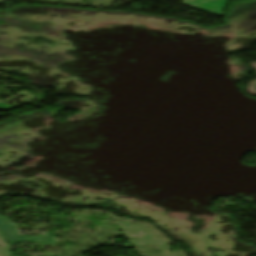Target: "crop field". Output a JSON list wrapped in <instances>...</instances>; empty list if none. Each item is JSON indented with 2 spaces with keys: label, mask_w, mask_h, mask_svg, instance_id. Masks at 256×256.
Returning a JSON list of instances; mask_svg holds the SVG:
<instances>
[{
  "label": "crop field",
  "mask_w": 256,
  "mask_h": 256,
  "mask_svg": "<svg viewBox=\"0 0 256 256\" xmlns=\"http://www.w3.org/2000/svg\"><path fill=\"white\" fill-rule=\"evenodd\" d=\"M3 1L2 0H0V3H2Z\"/></svg>",
  "instance_id": "5"
},
{
  "label": "crop field",
  "mask_w": 256,
  "mask_h": 256,
  "mask_svg": "<svg viewBox=\"0 0 256 256\" xmlns=\"http://www.w3.org/2000/svg\"><path fill=\"white\" fill-rule=\"evenodd\" d=\"M0 231L12 246L21 242H36L50 245L58 243L57 237H52V231L41 237L22 235L19 231L18 225L16 223H12L8 217H0Z\"/></svg>",
  "instance_id": "1"
},
{
  "label": "crop field",
  "mask_w": 256,
  "mask_h": 256,
  "mask_svg": "<svg viewBox=\"0 0 256 256\" xmlns=\"http://www.w3.org/2000/svg\"><path fill=\"white\" fill-rule=\"evenodd\" d=\"M228 0H197L195 2L186 0L183 3L187 6L194 7L200 10H204L215 16L221 17V13ZM203 2V3H201ZM205 5V6H204Z\"/></svg>",
  "instance_id": "2"
},
{
  "label": "crop field",
  "mask_w": 256,
  "mask_h": 256,
  "mask_svg": "<svg viewBox=\"0 0 256 256\" xmlns=\"http://www.w3.org/2000/svg\"><path fill=\"white\" fill-rule=\"evenodd\" d=\"M17 95L32 96V95L27 94L26 92H20V93H18ZM13 98H15V97H13ZM13 98H11V99H13ZM34 98H36V97L33 96V97L30 98V99H22L21 101H29V100H32V99H34ZM9 100H10V99H9ZM7 101H8V100H7ZM13 107H17V105L9 106V105L6 104L5 102H0V109H2V110L9 109V108H13Z\"/></svg>",
  "instance_id": "4"
},
{
  "label": "crop field",
  "mask_w": 256,
  "mask_h": 256,
  "mask_svg": "<svg viewBox=\"0 0 256 256\" xmlns=\"http://www.w3.org/2000/svg\"><path fill=\"white\" fill-rule=\"evenodd\" d=\"M0 245H2V247H0V256L4 255V256H11V248L10 246L4 241V239L1 237L0 235Z\"/></svg>",
  "instance_id": "3"
}]
</instances>
